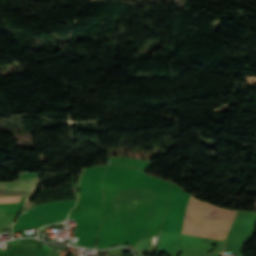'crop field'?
I'll return each instance as SVG.
<instances>
[{
	"label": "crop field",
	"mask_w": 256,
	"mask_h": 256,
	"mask_svg": "<svg viewBox=\"0 0 256 256\" xmlns=\"http://www.w3.org/2000/svg\"><path fill=\"white\" fill-rule=\"evenodd\" d=\"M37 179L22 180L15 182L0 183V196L24 195L28 198L29 193L34 189ZM23 196L0 197V202L22 201Z\"/></svg>",
	"instance_id": "obj_1"
}]
</instances>
